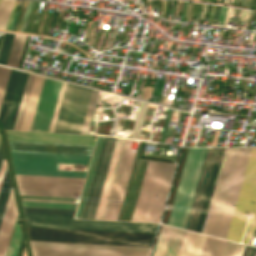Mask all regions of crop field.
I'll return each mask as SVG.
<instances>
[{"mask_svg":"<svg viewBox=\"0 0 256 256\" xmlns=\"http://www.w3.org/2000/svg\"><path fill=\"white\" fill-rule=\"evenodd\" d=\"M190 4H191V3H189V2H188V4H187V9H186V13H185V17H187V16H188V12H189V8H190Z\"/></svg>","mask_w":256,"mask_h":256,"instance_id":"crop-field-57","label":"crop field"},{"mask_svg":"<svg viewBox=\"0 0 256 256\" xmlns=\"http://www.w3.org/2000/svg\"><path fill=\"white\" fill-rule=\"evenodd\" d=\"M19 188L80 192L84 179L16 175Z\"/></svg>","mask_w":256,"mask_h":256,"instance_id":"crop-field-11","label":"crop field"},{"mask_svg":"<svg viewBox=\"0 0 256 256\" xmlns=\"http://www.w3.org/2000/svg\"><path fill=\"white\" fill-rule=\"evenodd\" d=\"M19 190L21 195H30V196L74 198L76 194H80V193H72V192H55V191H40V190H26V189H19Z\"/></svg>","mask_w":256,"mask_h":256,"instance_id":"crop-field-29","label":"crop field"},{"mask_svg":"<svg viewBox=\"0 0 256 256\" xmlns=\"http://www.w3.org/2000/svg\"><path fill=\"white\" fill-rule=\"evenodd\" d=\"M66 84L67 83H62V87H61V90H60V94H59V98H58V101H57V105H56V108H55V112H54V115H53V119H52V123H51V126H50V132H53L54 131V127H55V124H56V120H57V116H58V113H59V109H60V106H61V102H62V99H63V95H64V91H65V88H66Z\"/></svg>","mask_w":256,"mask_h":256,"instance_id":"crop-field-40","label":"crop field"},{"mask_svg":"<svg viewBox=\"0 0 256 256\" xmlns=\"http://www.w3.org/2000/svg\"><path fill=\"white\" fill-rule=\"evenodd\" d=\"M244 247V245L227 241L222 256H241Z\"/></svg>","mask_w":256,"mask_h":256,"instance_id":"crop-field-37","label":"crop field"},{"mask_svg":"<svg viewBox=\"0 0 256 256\" xmlns=\"http://www.w3.org/2000/svg\"><path fill=\"white\" fill-rule=\"evenodd\" d=\"M224 149L225 148H218L217 149V153H216L213 168H212V171H211L210 179H209V182H208L207 190H206V193H205V197H204V200H203V204H202V208H201V211H200L199 219H198V222H197V226H196V230H195L196 232H200V233L202 232V228H203L205 217H206L207 210H208V207H209L210 199H211V196H212V192H213L214 185H215V182H216V178H217V174H218L219 167H220V164H221L222 156H223V153H224Z\"/></svg>","mask_w":256,"mask_h":256,"instance_id":"crop-field-21","label":"crop field"},{"mask_svg":"<svg viewBox=\"0 0 256 256\" xmlns=\"http://www.w3.org/2000/svg\"><path fill=\"white\" fill-rule=\"evenodd\" d=\"M209 1V0H208Z\"/></svg>","mask_w":256,"mask_h":256,"instance_id":"crop-field-73","label":"crop field"},{"mask_svg":"<svg viewBox=\"0 0 256 256\" xmlns=\"http://www.w3.org/2000/svg\"><path fill=\"white\" fill-rule=\"evenodd\" d=\"M10 70L11 69H9V68L0 66V106H1V102L3 99L4 92H5V88L7 85Z\"/></svg>","mask_w":256,"mask_h":256,"instance_id":"crop-field-38","label":"crop field"},{"mask_svg":"<svg viewBox=\"0 0 256 256\" xmlns=\"http://www.w3.org/2000/svg\"><path fill=\"white\" fill-rule=\"evenodd\" d=\"M186 232L163 225L152 256H178Z\"/></svg>","mask_w":256,"mask_h":256,"instance_id":"crop-field-16","label":"crop field"},{"mask_svg":"<svg viewBox=\"0 0 256 256\" xmlns=\"http://www.w3.org/2000/svg\"><path fill=\"white\" fill-rule=\"evenodd\" d=\"M204 1V0H203Z\"/></svg>","mask_w":256,"mask_h":256,"instance_id":"crop-field-72","label":"crop field"},{"mask_svg":"<svg viewBox=\"0 0 256 256\" xmlns=\"http://www.w3.org/2000/svg\"><path fill=\"white\" fill-rule=\"evenodd\" d=\"M116 138L108 137L85 218L93 219Z\"/></svg>","mask_w":256,"mask_h":256,"instance_id":"crop-field-18","label":"crop field"},{"mask_svg":"<svg viewBox=\"0 0 256 256\" xmlns=\"http://www.w3.org/2000/svg\"><path fill=\"white\" fill-rule=\"evenodd\" d=\"M18 12H19V11H17L16 14H15V16H14L13 24H12V27H11V29H10L11 31L13 30V27H14V24H15V21H16L17 15H18Z\"/></svg>","mask_w":256,"mask_h":256,"instance_id":"crop-field-55","label":"crop field"},{"mask_svg":"<svg viewBox=\"0 0 256 256\" xmlns=\"http://www.w3.org/2000/svg\"><path fill=\"white\" fill-rule=\"evenodd\" d=\"M235 3H236V0L234 1V4H233V5H235Z\"/></svg>","mask_w":256,"mask_h":256,"instance_id":"crop-field-69","label":"crop field"},{"mask_svg":"<svg viewBox=\"0 0 256 256\" xmlns=\"http://www.w3.org/2000/svg\"><path fill=\"white\" fill-rule=\"evenodd\" d=\"M173 136L167 137L164 143L171 144Z\"/></svg>","mask_w":256,"mask_h":256,"instance_id":"crop-field-53","label":"crop field"},{"mask_svg":"<svg viewBox=\"0 0 256 256\" xmlns=\"http://www.w3.org/2000/svg\"><path fill=\"white\" fill-rule=\"evenodd\" d=\"M94 40H95V39H93V42H92V45H91V46H93Z\"/></svg>","mask_w":256,"mask_h":256,"instance_id":"crop-field-66","label":"crop field"},{"mask_svg":"<svg viewBox=\"0 0 256 256\" xmlns=\"http://www.w3.org/2000/svg\"><path fill=\"white\" fill-rule=\"evenodd\" d=\"M30 243H31V245H39V246L90 248V249L124 250V251H141V252H149L150 249H151V248H143V247H125V246L90 245V244L38 242V241H30Z\"/></svg>","mask_w":256,"mask_h":256,"instance_id":"crop-field-23","label":"crop field"},{"mask_svg":"<svg viewBox=\"0 0 256 256\" xmlns=\"http://www.w3.org/2000/svg\"><path fill=\"white\" fill-rule=\"evenodd\" d=\"M206 149H188L168 225L185 227Z\"/></svg>","mask_w":256,"mask_h":256,"instance_id":"crop-field-6","label":"crop field"},{"mask_svg":"<svg viewBox=\"0 0 256 256\" xmlns=\"http://www.w3.org/2000/svg\"><path fill=\"white\" fill-rule=\"evenodd\" d=\"M132 141L133 140L125 141L124 149L122 152L121 160L119 163V167L117 170L116 178L114 181L113 189L111 192L110 200L108 203L104 219H118L119 211L121 208L130 171L135 157V153L129 152Z\"/></svg>","mask_w":256,"mask_h":256,"instance_id":"crop-field-9","label":"crop field"},{"mask_svg":"<svg viewBox=\"0 0 256 256\" xmlns=\"http://www.w3.org/2000/svg\"><path fill=\"white\" fill-rule=\"evenodd\" d=\"M256 248L251 247L248 256H255Z\"/></svg>","mask_w":256,"mask_h":256,"instance_id":"crop-field-50","label":"crop field"},{"mask_svg":"<svg viewBox=\"0 0 256 256\" xmlns=\"http://www.w3.org/2000/svg\"><path fill=\"white\" fill-rule=\"evenodd\" d=\"M30 75H31V74L29 73L28 78H27V82H26V86H25V90H24V93H23V97H22L20 109H19V112H18V116H17L15 128H14V129H16V125H17V122H18L19 114H20L21 107H22V104H23V100H24V97H25V93H26V90H27V86H28V82H29V79H30Z\"/></svg>","mask_w":256,"mask_h":256,"instance_id":"crop-field-45","label":"crop field"},{"mask_svg":"<svg viewBox=\"0 0 256 256\" xmlns=\"http://www.w3.org/2000/svg\"><path fill=\"white\" fill-rule=\"evenodd\" d=\"M198 5L197 3H195V6H194V11H193V15L192 16H196V12H197V9H198Z\"/></svg>","mask_w":256,"mask_h":256,"instance_id":"crop-field-54","label":"crop field"},{"mask_svg":"<svg viewBox=\"0 0 256 256\" xmlns=\"http://www.w3.org/2000/svg\"><path fill=\"white\" fill-rule=\"evenodd\" d=\"M250 149H225L202 233L226 238Z\"/></svg>","mask_w":256,"mask_h":256,"instance_id":"crop-field-1","label":"crop field"},{"mask_svg":"<svg viewBox=\"0 0 256 256\" xmlns=\"http://www.w3.org/2000/svg\"><path fill=\"white\" fill-rule=\"evenodd\" d=\"M27 74H28V73L25 74V78H24V81H23L22 89H21V92H20V96H19V99H18V103H17V106H16V110H15V113H14V117H13V121H12V124H11V128H10V129H13V128H14V124H15L17 112H18V109H19V105H20L22 93H23V90H24V86H25ZM28 75H29V74H28Z\"/></svg>","mask_w":256,"mask_h":256,"instance_id":"crop-field-44","label":"crop field"},{"mask_svg":"<svg viewBox=\"0 0 256 256\" xmlns=\"http://www.w3.org/2000/svg\"><path fill=\"white\" fill-rule=\"evenodd\" d=\"M33 256H148L149 253L31 246Z\"/></svg>","mask_w":256,"mask_h":256,"instance_id":"crop-field-14","label":"crop field"},{"mask_svg":"<svg viewBox=\"0 0 256 256\" xmlns=\"http://www.w3.org/2000/svg\"><path fill=\"white\" fill-rule=\"evenodd\" d=\"M6 167H7V164H6L5 160L3 159V163H2V167H1V171H0V187H1V184H2V181H3V177H4V174H5Z\"/></svg>","mask_w":256,"mask_h":256,"instance_id":"crop-field-46","label":"crop field"},{"mask_svg":"<svg viewBox=\"0 0 256 256\" xmlns=\"http://www.w3.org/2000/svg\"><path fill=\"white\" fill-rule=\"evenodd\" d=\"M147 161H146V165H147ZM146 165H145V169H146ZM145 169H144V172H145ZM144 172H143V176H144ZM143 176H142V180H143ZM142 180H141V183H142ZM141 183H140V187H141ZM140 187H139V190H140ZM138 194H139V191H138ZM138 194H137V198H138ZM137 198H136V201H137ZM136 201H135V205H136ZM135 205H134V209H135ZM134 209H133V212H134ZM133 212H132V216H133ZM132 216H131V220H132Z\"/></svg>","mask_w":256,"mask_h":256,"instance_id":"crop-field-49","label":"crop field"},{"mask_svg":"<svg viewBox=\"0 0 256 256\" xmlns=\"http://www.w3.org/2000/svg\"><path fill=\"white\" fill-rule=\"evenodd\" d=\"M251 2H252V0L250 1V5H251ZM250 5H249V7H250Z\"/></svg>","mask_w":256,"mask_h":256,"instance_id":"crop-field-68","label":"crop field"},{"mask_svg":"<svg viewBox=\"0 0 256 256\" xmlns=\"http://www.w3.org/2000/svg\"><path fill=\"white\" fill-rule=\"evenodd\" d=\"M25 212L74 215L75 210L23 207Z\"/></svg>","mask_w":256,"mask_h":256,"instance_id":"crop-field-35","label":"crop field"},{"mask_svg":"<svg viewBox=\"0 0 256 256\" xmlns=\"http://www.w3.org/2000/svg\"><path fill=\"white\" fill-rule=\"evenodd\" d=\"M214 1H217V0H210V2H214Z\"/></svg>","mask_w":256,"mask_h":256,"instance_id":"crop-field-65","label":"crop field"},{"mask_svg":"<svg viewBox=\"0 0 256 256\" xmlns=\"http://www.w3.org/2000/svg\"><path fill=\"white\" fill-rule=\"evenodd\" d=\"M103 138L104 137H102V136H98V138H97L96 146H95V149H94L93 157H92V160H91L90 168H89V171H88L86 183H85V186H84V190H83V194H82V197H81V201H80V205H79V208H78L76 218H81L82 217V213H83V210H84L85 202H86L87 195H88V192H89V188H90V185H91V181H92V177H93L94 170H95V167H96V163H97V160H98V156H99V153H100Z\"/></svg>","mask_w":256,"mask_h":256,"instance_id":"crop-field-24","label":"crop field"},{"mask_svg":"<svg viewBox=\"0 0 256 256\" xmlns=\"http://www.w3.org/2000/svg\"><path fill=\"white\" fill-rule=\"evenodd\" d=\"M143 143L144 142H142V141L139 142L136 158H135V161H134L133 169H132L131 176H130V179H129V183H128V186H127L124 201H125L126 196L128 195V191H129V188H130L132 177H133V174H134V171H135L137 160H138V158L140 156V153H141ZM145 161L146 160H143V159L140 160L138 170H137V172H135L133 184H132V187H131L130 195H129V198H128V202H127L126 209H125L122 220H126V221L130 220L131 212H132V209H133V205H134V201H135V198H136L137 190H138L139 183H140V180H141V176H142V172H143V169H144ZM124 201H123V204H122V208H123V205H124ZM122 208H121V212H122ZM121 212H120V215H121ZM120 215H119V219H120Z\"/></svg>","mask_w":256,"mask_h":256,"instance_id":"crop-field-19","label":"crop field"},{"mask_svg":"<svg viewBox=\"0 0 256 256\" xmlns=\"http://www.w3.org/2000/svg\"><path fill=\"white\" fill-rule=\"evenodd\" d=\"M205 237L188 231L179 256H199Z\"/></svg>","mask_w":256,"mask_h":256,"instance_id":"crop-field-26","label":"crop field"},{"mask_svg":"<svg viewBox=\"0 0 256 256\" xmlns=\"http://www.w3.org/2000/svg\"><path fill=\"white\" fill-rule=\"evenodd\" d=\"M38 3L39 2H36V1L32 2V6H31V9H30V13H29V17H28V20H27L26 28H25V31H24L25 33L30 32V29H31V26H32V23H33V20H34L36 11H37Z\"/></svg>","mask_w":256,"mask_h":256,"instance_id":"crop-field-41","label":"crop field"},{"mask_svg":"<svg viewBox=\"0 0 256 256\" xmlns=\"http://www.w3.org/2000/svg\"><path fill=\"white\" fill-rule=\"evenodd\" d=\"M245 6H246V4H245Z\"/></svg>","mask_w":256,"mask_h":256,"instance_id":"crop-field-71","label":"crop field"},{"mask_svg":"<svg viewBox=\"0 0 256 256\" xmlns=\"http://www.w3.org/2000/svg\"><path fill=\"white\" fill-rule=\"evenodd\" d=\"M23 206L75 209L77 205L22 202Z\"/></svg>","mask_w":256,"mask_h":256,"instance_id":"crop-field-39","label":"crop field"},{"mask_svg":"<svg viewBox=\"0 0 256 256\" xmlns=\"http://www.w3.org/2000/svg\"><path fill=\"white\" fill-rule=\"evenodd\" d=\"M3 154H2V148H1V142H0V166L2 162Z\"/></svg>","mask_w":256,"mask_h":256,"instance_id":"crop-field-56","label":"crop field"},{"mask_svg":"<svg viewBox=\"0 0 256 256\" xmlns=\"http://www.w3.org/2000/svg\"><path fill=\"white\" fill-rule=\"evenodd\" d=\"M19 72L20 71L14 70V69L11 70L8 85L6 88V92H5L1 110H0V122L2 123L3 127H5L6 119L8 116L9 109H10V105H11V101L13 98L16 83L18 80Z\"/></svg>","mask_w":256,"mask_h":256,"instance_id":"crop-field-25","label":"crop field"},{"mask_svg":"<svg viewBox=\"0 0 256 256\" xmlns=\"http://www.w3.org/2000/svg\"><path fill=\"white\" fill-rule=\"evenodd\" d=\"M98 92L99 91H96V90L92 91L91 99H90V102H89L88 110H87V113H86V117H85V121H84L81 133H87L88 132V128H89V125H90V121H91V117H92L93 110H94V107H95Z\"/></svg>","mask_w":256,"mask_h":256,"instance_id":"crop-field-34","label":"crop field"},{"mask_svg":"<svg viewBox=\"0 0 256 256\" xmlns=\"http://www.w3.org/2000/svg\"><path fill=\"white\" fill-rule=\"evenodd\" d=\"M202 5H203V4H200V5H199V9H198V12H197V13H199V14H200V12H201Z\"/></svg>","mask_w":256,"mask_h":256,"instance_id":"crop-field-59","label":"crop field"},{"mask_svg":"<svg viewBox=\"0 0 256 256\" xmlns=\"http://www.w3.org/2000/svg\"><path fill=\"white\" fill-rule=\"evenodd\" d=\"M11 151L91 155L93 146L8 142Z\"/></svg>","mask_w":256,"mask_h":256,"instance_id":"crop-field-15","label":"crop field"},{"mask_svg":"<svg viewBox=\"0 0 256 256\" xmlns=\"http://www.w3.org/2000/svg\"><path fill=\"white\" fill-rule=\"evenodd\" d=\"M219 9H220V6H217V7H216L215 14H214V17H213V18L217 19V17H218V13H219Z\"/></svg>","mask_w":256,"mask_h":256,"instance_id":"crop-field-52","label":"crop field"},{"mask_svg":"<svg viewBox=\"0 0 256 256\" xmlns=\"http://www.w3.org/2000/svg\"><path fill=\"white\" fill-rule=\"evenodd\" d=\"M10 189H11V185H10V179H9L8 168H7L4 181L1 187V191H0V224H1V220L5 210V206L8 200Z\"/></svg>","mask_w":256,"mask_h":256,"instance_id":"crop-field-30","label":"crop field"},{"mask_svg":"<svg viewBox=\"0 0 256 256\" xmlns=\"http://www.w3.org/2000/svg\"><path fill=\"white\" fill-rule=\"evenodd\" d=\"M43 78L44 77L37 76V75L34 76L32 88L30 91L28 103L26 106V110H25V114L23 117V121H22L20 130H29L30 129L31 121H32L33 114L35 111V107H36V103H37L38 96L40 93Z\"/></svg>","mask_w":256,"mask_h":256,"instance_id":"crop-field-22","label":"crop field"},{"mask_svg":"<svg viewBox=\"0 0 256 256\" xmlns=\"http://www.w3.org/2000/svg\"><path fill=\"white\" fill-rule=\"evenodd\" d=\"M231 1V0H230Z\"/></svg>","mask_w":256,"mask_h":256,"instance_id":"crop-field-74","label":"crop field"},{"mask_svg":"<svg viewBox=\"0 0 256 256\" xmlns=\"http://www.w3.org/2000/svg\"><path fill=\"white\" fill-rule=\"evenodd\" d=\"M206 6H207V5H205V4L203 5V9H202V13H201L200 19H204Z\"/></svg>","mask_w":256,"mask_h":256,"instance_id":"crop-field-51","label":"crop field"},{"mask_svg":"<svg viewBox=\"0 0 256 256\" xmlns=\"http://www.w3.org/2000/svg\"><path fill=\"white\" fill-rule=\"evenodd\" d=\"M91 91V89L67 84L54 132H81Z\"/></svg>","mask_w":256,"mask_h":256,"instance_id":"crop-field-8","label":"crop field"},{"mask_svg":"<svg viewBox=\"0 0 256 256\" xmlns=\"http://www.w3.org/2000/svg\"><path fill=\"white\" fill-rule=\"evenodd\" d=\"M15 0H2L0 3V29L5 30Z\"/></svg>","mask_w":256,"mask_h":256,"instance_id":"crop-field-32","label":"crop field"},{"mask_svg":"<svg viewBox=\"0 0 256 256\" xmlns=\"http://www.w3.org/2000/svg\"><path fill=\"white\" fill-rule=\"evenodd\" d=\"M13 36L14 35H12V34H7V33L4 34L3 42L1 45V49H0V63L1 64H5V65L7 64Z\"/></svg>","mask_w":256,"mask_h":256,"instance_id":"crop-field-33","label":"crop field"},{"mask_svg":"<svg viewBox=\"0 0 256 256\" xmlns=\"http://www.w3.org/2000/svg\"><path fill=\"white\" fill-rule=\"evenodd\" d=\"M103 36H104V35H102L101 38H100L99 44H98V46H97L98 48H99V46H100V44H101V41H102V39H103Z\"/></svg>","mask_w":256,"mask_h":256,"instance_id":"crop-field-60","label":"crop field"},{"mask_svg":"<svg viewBox=\"0 0 256 256\" xmlns=\"http://www.w3.org/2000/svg\"><path fill=\"white\" fill-rule=\"evenodd\" d=\"M205 1H207V0H205Z\"/></svg>","mask_w":256,"mask_h":256,"instance_id":"crop-field-70","label":"crop field"},{"mask_svg":"<svg viewBox=\"0 0 256 256\" xmlns=\"http://www.w3.org/2000/svg\"><path fill=\"white\" fill-rule=\"evenodd\" d=\"M30 240L151 247L156 234L28 227Z\"/></svg>","mask_w":256,"mask_h":256,"instance_id":"crop-field-3","label":"crop field"},{"mask_svg":"<svg viewBox=\"0 0 256 256\" xmlns=\"http://www.w3.org/2000/svg\"><path fill=\"white\" fill-rule=\"evenodd\" d=\"M175 166L172 163L148 161L132 221L160 222Z\"/></svg>","mask_w":256,"mask_h":256,"instance_id":"crop-field-2","label":"crop field"},{"mask_svg":"<svg viewBox=\"0 0 256 256\" xmlns=\"http://www.w3.org/2000/svg\"><path fill=\"white\" fill-rule=\"evenodd\" d=\"M25 215L73 217V216H66V215H49V214H33V213H25Z\"/></svg>","mask_w":256,"mask_h":256,"instance_id":"crop-field-48","label":"crop field"},{"mask_svg":"<svg viewBox=\"0 0 256 256\" xmlns=\"http://www.w3.org/2000/svg\"><path fill=\"white\" fill-rule=\"evenodd\" d=\"M25 37L26 36H20V35L14 36V40H13V44H12V48H11V52H10V56H9L7 65L16 66V67L18 66V62L20 59V55H21V51H22L23 44L25 41Z\"/></svg>","mask_w":256,"mask_h":256,"instance_id":"crop-field-28","label":"crop field"},{"mask_svg":"<svg viewBox=\"0 0 256 256\" xmlns=\"http://www.w3.org/2000/svg\"><path fill=\"white\" fill-rule=\"evenodd\" d=\"M61 83L58 80L44 78L30 130H49Z\"/></svg>","mask_w":256,"mask_h":256,"instance_id":"crop-field-10","label":"crop field"},{"mask_svg":"<svg viewBox=\"0 0 256 256\" xmlns=\"http://www.w3.org/2000/svg\"><path fill=\"white\" fill-rule=\"evenodd\" d=\"M24 74L25 73L21 71L20 76H19V80H18V84H17V87H16V91H15V94H14V98H13V101H12L11 109H10V112H9V116H8V119H7V123H6V127H5L6 129L10 128V124H11V121H12L13 113H14V110H15V106H16V103H17L18 96H19V92H20V89H21Z\"/></svg>","mask_w":256,"mask_h":256,"instance_id":"crop-field-36","label":"crop field"},{"mask_svg":"<svg viewBox=\"0 0 256 256\" xmlns=\"http://www.w3.org/2000/svg\"><path fill=\"white\" fill-rule=\"evenodd\" d=\"M106 138L107 137L104 138V142H103V145H102L101 153H100V156H99V160H98V163H97V167H96V170H95L94 178H93V181H92V185H91V188H90V192H89V195H88V199H87V202H86V206H85V210H84L82 218L85 217V213H86V210H87L88 202H89L90 195H91V192H92V188H93V185H94V181H95V177H96L97 170H98V167H99V163H100V160H101V156H102V153H103V149H104V145H105V142H106Z\"/></svg>","mask_w":256,"mask_h":256,"instance_id":"crop-field-42","label":"crop field"},{"mask_svg":"<svg viewBox=\"0 0 256 256\" xmlns=\"http://www.w3.org/2000/svg\"><path fill=\"white\" fill-rule=\"evenodd\" d=\"M21 237H22L21 229H20L18 220H16V224L12 233V237L8 246L6 256H16Z\"/></svg>","mask_w":256,"mask_h":256,"instance_id":"crop-field-31","label":"crop field"},{"mask_svg":"<svg viewBox=\"0 0 256 256\" xmlns=\"http://www.w3.org/2000/svg\"><path fill=\"white\" fill-rule=\"evenodd\" d=\"M33 76H34V75L32 74V75H31L30 82H29L28 90H27V93H26V97H25V100H24V104H23V107H22V111H21V114H20V118H19V122H18L17 129H16V130H19V129H20V125H21V121H22L23 114H24V110H25L26 102H27V99H28L29 91H30V88H31V84H32Z\"/></svg>","mask_w":256,"mask_h":256,"instance_id":"crop-field-43","label":"crop field"},{"mask_svg":"<svg viewBox=\"0 0 256 256\" xmlns=\"http://www.w3.org/2000/svg\"><path fill=\"white\" fill-rule=\"evenodd\" d=\"M17 217L13 193L9 196L2 224L0 227V256H5L11 233Z\"/></svg>","mask_w":256,"mask_h":256,"instance_id":"crop-field-20","label":"crop field"},{"mask_svg":"<svg viewBox=\"0 0 256 256\" xmlns=\"http://www.w3.org/2000/svg\"><path fill=\"white\" fill-rule=\"evenodd\" d=\"M238 2H241V0H237V4H238Z\"/></svg>","mask_w":256,"mask_h":256,"instance_id":"crop-field-67","label":"crop field"},{"mask_svg":"<svg viewBox=\"0 0 256 256\" xmlns=\"http://www.w3.org/2000/svg\"><path fill=\"white\" fill-rule=\"evenodd\" d=\"M28 226L156 233L159 224L25 216Z\"/></svg>","mask_w":256,"mask_h":256,"instance_id":"crop-field-7","label":"crop field"},{"mask_svg":"<svg viewBox=\"0 0 256 256\" xmlns=\"http://www.w3.org/2000/svg\"><path fill=\"white\" fill-rule=\"evenodd\" d=\"M246 212L255 213L253 219L248 221L243 241V243L250 245L256 224V148L251 149L226 239L241 241L247 219L245 218Z\"/></svg>","mask_w":256,"mask_h":256,"instance_id":"crop-field-4","label":"crop field"},{"mask_svg":"<svg viewBox=\"0 0 256 256\" xmlns=\"http://www.w3.org/2000/svg\"><path fill=\"white\" fill-rule=\"evenodd\" d=\"M124 141L125 140H123V139H119V138L116 139L113 154L111 157V161L109 164V168L107 171L106 179L104 182V186L102 189V193L100 196V200L98 203V207H97V211H96L94 219H103L104 218L105 210H106L108 199H109L110 192L112 189V185H113V181L115 178V174H116V170L118 167L121 152L123 149Z\"/></svg>","mask_w":256,"mask_h":256,"instance_id":"crop-field-17","label":"crop field"},{"mask_svg":"<svg viewBox=\"0 0 256 256\" xmlns=\"http://www.w3.org/2000/svg\"><path fill=\"white\" fill-rule=\"evenodd\" d=\"M253 13H254V12L251 13V15H250V17H249V19H248V21H247V24H248V25L250 24V21H251V18H252V16H253Z\"/></svg>","mask_w":256,"mask_h":256,"instance_id":"crop-field-58","label":"crop field"},{"mask_svg":"<svg viewBox=\"0 0 256 256\" xmlns=\"http://www.w3.org/2000/svg\"><path fill=\"white\" fill-rule=\"evenodd\" d=\"M225 242L207 236L200 256H221Z\"/></svg>","mask_w":256,"mask_h":256,"instance_id":"crop-field-27","label":"crop field"},{"mask_svg":"<svg viewBox=\"0 0 256 256\" xmlns=\"http://www.w3.org/2000/svg\"><path fill=\"white\" fill-rule=\"evenodd\" d=\"M256 6V0H253L252 7Z\"/></svg>","mask_w":256,"mask_h":256,"instance_id":"crop-field-61","label":"crop field"},{"mask_svg":"<svg viewBox=\"0 0 256 256\" xmlns=\"http://www.w3.org/2000/svg\"><path fill=\"white\" fill-rule=\"evenodd\" d=\"M8 141L93 145V136L7 131Z\"/></svg>","mask_w":256,"mask_h":256,"instance_id":"crop-field-12","label":"crop field"},{"mask_svg":"<svg viewBox=\"0 0 256 256\" xmlns=\"http://www.w3.org/2000/svg\"><path fill=\"white\" fill-rule=\"evenodd\" d=\"M249 1H250V0L247 1V6L249 5Z\"/></svg>","mask_w":256,"mask_h":256,"instance_id":"crop-field-64","label":"crop field"},{"mask_svg":"<svg viewBox=\"0 0 256 256\" xmlns=\"http://www.w3.org/2000/svg\"><path fill=\"white\" fill-rule=\"evenodd\" d=\"M15 174L84 178L86 172L55 170L57 163L88 164L91 156L11 152Z\"/></svg>","mask_w":256,"mask_h":256,"instance_id":"crop-field-5","label":"crop field"},{"mask_svg":"<svg viewBox=\"0 0 256 256\" xmlns=\"http://www.w3.org/2000/svg\"><path fill=\"white\" fill-rule=\"evenodd\" d=\"M17 2H18V0L15 1L14 9H13V11H12V13H11L9 22H8V24H7V27H6V30H9L10 27H11L12 20H13V16H14V12H15V9H16V6H17Z\"/></svg>","mask_w":256,"mask_h":256,"instance_id":"crop-field-47","label":"crop field"},{"mask_svg":"<svg viewBox=\"0 0 256 256\" xmlns=\"http://www.w3.org/2000/svg\"><path fill=\"white\" fill-rule=\"evenodd\" d=\"M216 149L217 148H208L207 149V153L205 156V160H204L201 174L199 177V181L197 184L196 192L194 195V199H193L190 213L188 216V220L186 223V227H185L186 229H190L193 231L195 230L196 222L198 219V215H199L202 200L204 197L205 189H206L207 182L209 179V175H210L213 160L215 157Z\"/></svg>","mask_w":256,"mask_h":256,"instance_id":"crop-field-13","label":"crop field"},{"mask_svg":"<svg viewBox=\"0 0 256 256\" xmlns=\"http://www.w3.org/2000/svg\"><path fill=\"white\" fill-rule=\"evenodd\" d=\"M245 1H246V0H243V1H242V5H241V6H244Z\"/></svg>","mask_w":256,"mask_h":256,"instance_id":"crop-field-63","label":"crop field"},{"mask_svg":"<svg viewBox=\"0 0 256 256\" xmlns=\"http://www.w3.org/2000/svg\"><path fill=\"white\" fill-rule=\"evenodd\" d=\"M90 33H91V31H90ZM89 36H90V34H89ZM89 36H88V38H89ZM88 38H87V40L85 41V43H88V41H89Z\"/></svg>","mask_w":256,"mask_h":256,"instance_id":"crop-field-62","label":"crop field"}]
</instances>
